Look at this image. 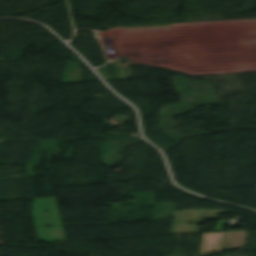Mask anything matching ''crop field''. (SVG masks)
<instances>
[{"label": "crop field", "mask_w": 256, "mask_h": 256, "mask_svg": "<svg viewBox=\"0 0 256 256\" xmlns=\"http://www.w3.org/2000/svg\"><path fill=\"white\" fill-rule=\"evenodd\" d=\"M223 235L224 233L204 234L200 253L216 250V249L220 250ZM220 252L221 250L217 252L199 254L195 256H203V255H209V254L220 253Z\"/></svg>", "instance_id": "crop-field-1"}]
</instances>
